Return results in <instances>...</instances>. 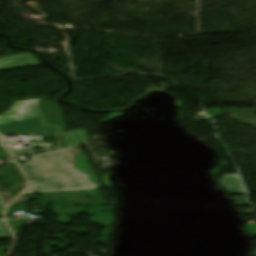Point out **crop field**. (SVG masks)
Wrapping results in <instances>:
<instances>
[{"instance_id": "crop-field-6", "label": "crop field", "mask_w": 256, "mask_h": 256, "mask_svg": "<svg viewBox=\"0 0 256 256\" xmlns=\"http://www.w3.org/2000/svg\"><path fill=\"white\" fill-rule=\"evenodd\" d=\"M90 140L86 130L65 132L57 138V147L67 148L87 144Z\"/></svg>"}, {"instance_id": "crop-field-16", "label": "crop field", "mask_w": 256, "mask_h": 256, "mask_svg": "<svg viewBox=\"0 0 256 256\" xmlns=\"http://www.w3.org/2000/svg\"><path fill=\"white\" fill-rule=\"evenodd\" d=\"M10 248H11V247L0 249V256H4L3 251H5V250H10Z\"/></svg>"}, {"instance_id": "crop-field-8", "label": "crop field", "mask_w": 256, "mask_h": 256, "mask_svg": "<svg viewBox=\"0 0 256 256\" xmlns=\"http://www.w3.org/2000/svg\"><path fill=\"white\" fill-rule=\"evenodd\" d=\"M219 181L228 194H245V189L238 174L223 175Z\"/></svg>"}, {"instance_id": "crop-field-12", "label": "crop field", "mask_w": 256, "mask_h": 256, "mask_svg": "<svg viewBox=\"0 0 256 256\" xmlns=\"http://www.w3.org/2000/svg\"><path fill=\"white\" fill-rule=\"evenodd\" d=\"M18 221H8V223L11 225V227L13 228L14 232L16 235H19L21 233L20 229H17L18 227H21L23 222H18Z\"/></svg>"}, {"instance_id": "crop-field-2", "label": "crop field", "mask_w": 256, "mask_h": 256, "mask_svg": "<svg viewBox=\"0 0 256 256\" xmlns=\"http://www.w3.org/2000/svg\"><path fill=\"white\" fill-rule=\"evenodd\" d=\"M17 103L19 105L16 113L14 112V117L21 114L19 120L0 125V135L11 133H42L67 129L62 110L54 100H31L24 102L23 105L22 102Z\"/></svg>"}, {"instance_id": "crop-field-17", "label": "crop field", "mask_w": 256, "mask_h": 256, "mask_svg": "<svg viewBox=\"0 0 256 256\" xmlns=\"http://www.w3.org/2000/svg\"><path fill=\"white\" fill-rule=\"evenodd\" d=\"M5 206L2 204L1 200H0V216L2 215V209L4 208Z\"/></svg>"}, {"instance_id": "crop-field-14", "label": "crop field", "mask_w": 256, "mask_h": 256, "mask_svg": "<svg viewBox=\"0 0 256 256\" xmlns=\"http://www.w3.org/2000/svg\"><path fill=\"white\" fill-rule=\"evenodd\" d=\"M9 154L7 153V151L5 150V148L3 147V145L0 142V158L3 157H8Z\"/></svg>"}, {"instance_id": "crop-field-1", "label": "crop field", "mask_w": 256, "mask_h": 256, "mask_svg": "<svg viewBox=\"0 0 256 256\" xmlns=\"http://www.w3.org/2000/svg\"><path fill=\"white\" fill-rule=\"evenodd\" d=\"M32 158L34 161L21 164L31 182L25 193L102 189L80 148L33 155Z\"/></svg>"}, {"instance_id": "crop-field-5", "label": "crop field", "mask_w": 256, "mask_h": 256, "mask_svg": "<svg viewBox=\"0 0 256 256\" xmlns=\"http://www.w3.org/2000/svg\"><path fill=\"white\" fill-rule=\"evenodd\" d=\"M39 65L41 64L29 53L0 58V71L16 70L27 66L35 67Z\"/></svg>"}, {"instance_id": "crop-field-3", "label": "crop field", "mask_w": 256, "mask_h": 256, "mask_svg": "<svg viewBox=\"0 0 256 256\" xmlns=\"http://www.w3.org/2000/svg\"><path fill=\"white\" fill-rule=\"evenodd\" d=\"M66 207H56L53 208L55 215H58L60 219L56 220V222L62 224L71 223V219L69 215H72V211L74 206H69L67 209ZM70 210V212H67ZM65 211V212H63ZM94 215L91 217L92 224H100L101 226H108L105 232H101L102 236H99V240H108V237L111 233V227L113 225L114 216H113V207H92L87 210V207H75L73 218H77V216L81 213H86ZM103 211H107V213H102Z\"/></svg>"}, {"instance_id": "crop-field-19", "label": "crop field", "mask_w": 256, "mask_h": 256, "mask_svg": "<svg viewBox=\"0 0 256 256\" xmlns=\"http://www.w3.org/2000/svg\"><path fill=\"white\" fill-rule=\"evenodd\" d=\"M0 189L6 190V192H4V193L0 192V194L10 193V192L7 190V188H1V187H0Z\"/></svg>"}, {"instance_id": "crop-field-4", "label": "crop field", "mask_w": 256, "mask_h": 256, "mask_svg": "<svg viewBox=\"0 0 256 256\" xmlns=\"http://www.w3.org/2000/svg\"><path fill=\"white\" fill-rule=\"evenodd\" d=\"M40 203L45 207L44 203H52L53 206L65 205L67 204H77V205H102L106 204L103 199V193L98 190L90 191H72V192H62V193H44L40 194ZM91 197V198H82ZM53 200H62L58 202H53Z\"/></svg>"}, {"instance_id": "crop-field-9", "label": "crop field", "mask_w": 256, "mask_h": 256, "mask_svg": "<svg viewBox=\"0 0 256 256\" xmlns=\"http://www.w3.org/2000/svg\"><path fill=\"white\" fill-rule=\"evenodd\" d=\"M31 144H32L33 147L41 146V147L45 148V150L32 152V147H28V148H12V147H8V148L10 149V151L14 155V157L22 156V155H27V154H32V153L43 152V151L53 150L50 147H45V146L41 145L38 141L32 142Z\"/></svg>"}, {"instance_id": "crop-field-15", "label": "crop field", "mask_w": 256, "mask_h": 256, "mask_svg": "<svg viewBox=\"0 0 256 256\" xmlns=\"http://www.w3.org/2000/svg\"><path fill=\"white\" fill-rule=\"evenodd\" d=\"M247 229L252 236H256V225H248Z\"/></svg>"}, {"instance_id": "crop-field-18", "label": "crop field", "mask_w": 256, "mask_h": 256, "mask_svg": "<svg viewBox=\"0 0 256 256\" xmlns=\"http://www.w3.org/2000/svg\"><path fill=\"white\" fill-rule=\"evenodd\" d=\"M22 196H30L29 201H28L27 203H29V202H31V201H32L31 194H23ZM27 203H26V204H27Z\"/></svg>"}, {"instance_id": "crop-field-20", "label": "crop field", "mask_w": 256, "mask_h": 256, "mask_svg": "<svg viewBox=\"0 0 256 256\" xmlns=\"http://www.w3.org/2000/svg\"><path fill=\"white\" fill-rule=\"evenodd\" d=\"M20 185H21V186H26V184H25V183H24V184H22V183H21ZM16 187H18V184H16Z\"/></svg>"}, {"instance_id": "crop-field-11", "label": "crop field", "mask_w": 256, "mask_h": 256, "mask_svg": "<svg viewBox=\"0 0 256 256\" xmlns=\"http://www.w3.org/2000/svg\"><path fill=\"white\" fill-rule=\"evenodd\" d=\"M17 105H18V104H14V106L12 107V109H11L8 113H6L5 115L0 116V119L12 117V116L14 115V112H15V110H16ZM18 118H19V117H18ZM18 118H15L14 120H18ZM9 121H13V120L10 119V120H6V121H2V122H0V124H2V123H7V122H9Z\"/></svg>"}, {"instance_id": "crop-field-7", "label": "crop field", "mask_w": 256, "mask_h": 256, "mask_svg": "<svg viewBox=\"0 0 256 256\" xmlns=\"http://www.w3.org/2000/svg\"><path fill=\"white\" fill-rule=\"evenodd\" d=\"M0 177H8L11 184L14 185L12 188H8L11 194L20 193L25 189V187L15 188V183L26 182L15 163L6 164L0 169Z\"/></svg>"}, {"instance_id": "crop-field-13", "label": "crop field", "mask_w": 256, "mask_h": 256, "mask_svg": "<svg viewBox=\"0 0 256 256\" xmlns=\"http://www.w3.org/2000/svg\"><path fill=\"white\" fill-rule=\"evenodd\" d=\"M23 205H25V204H22L21 206H18V207H14V208L8 209L7 215H9L10 213H13V212L21 211V210L27 211V210L23 207Z\"/></svg>"}, {"instance_id": "crop-field-10", "label": "crop field", "mask_w": 256, "mask_h": 256, "mask_svg": "<svg viewBox=\"0 0 256 256\" xmlns=\"http://www.w3.org/2000/svg\"><path fill=\"white\" fill-rule=\"evenodd\" d=\"M2 226L4 228H2ZM1 239H13L10 231L6 227V225L3 223L2 220H0V240Z\"/></svg>"}]
</instances>
